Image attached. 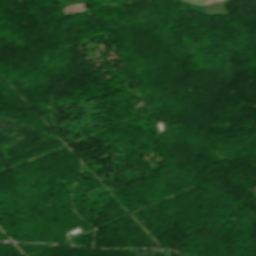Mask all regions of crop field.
<instances>
[{
  "label": "crop field",
  "instance_id": "obj_1",
  "mask_svg": "<svg viewBox=\"0 0 256 256\" xmlns=\"http://www.w3.org/2000/svg\"><path fill=\"white\" fill-rule=\"evenodd\" d=\"M191 2L204 3L206 0H187Z\"/></svg>",
  "mask_w": 256,
  "mask_h": 256
},
{
  "label": "crop field",
  "instance_id": "obj_2",
  "mask_svg": "<svg viewBox=\"0 0 256 256\" xmlns=\"http://www.w3.org/2000/svg\"><path fill=\"white\" fill-rule=\"evenodd\" d=\"M212 1H216V0H207V1L205 2V4L208 3V2H212Z\"/></svg>",
  "mask_w": 256,
  "mask_h": 256
}]
</instances>
